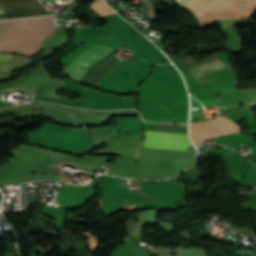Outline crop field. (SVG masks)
I'll return each mask as SVG.
<instances>
[{
  "label": "crop field",
  "mask_w": 256,
  "mask_h": 256,
  "mask_svg": "<svg viewBox=\"0 0 256 256\" xmlns=\"http://www.w3.org/2000/svg\"><path fill=\"white\" fill-rule=\"evenodd\" d=\"M56 28L53 16L0 22V52L32 56Z\"/></svg>",
  "instance_id": "1"
},
{
  "label": "crop field",
  "mask_w": 256,
  "mask_h": 256,
  "mask_svg": "<svg viewBox=\"0 0 256 256\" xmlns=\"http://www.w3.org/2000/svg\"><path fill=\"white\" fill-rule=\"evenodd\" d=\"M194 0H177L179 5L188 7ZM210 0H196L190 5L189 8L196 13L204 4ZM235 0H211L205 6H203L197 13V17L201 23L209 17L214 11L218 10L222 6L233 2ZM256 11V0H238L230 3L218 11L214 12L203 24L210 23L215 17H247L252 15Z\"/></svg>",
  "instance_id": "2"
},
{
  "label": "crop field",
  "mask_w": 256,
  "mask_h": 256,
  "mask_svg": "<svg viewBox=\"0 0 256 256\" xmlns=\"http://www.w3.org/2000/svg\"><path fill=\"white\" fill-rule=\"evenodd\" d=\"M93 143L96 146L104 143L118 133V129L107 127L102 129H89ZM142 140V130L137 133L119 135L105 142V149H99L93 153L107 155H122L135 158Z\"/></svg>",
  "instance_id": "3"
},
{
  "label": "crop field",
  "mask_w": 256,
  "mask_h": 256,
  "mask_svg": "<svg viewBox=\"0 0 256 256\" xmlns=\"http://www.w3.org/2000/svg\"><path fill=\"white\" fill-rule=\"evenodd\" d=\"M156 127H171V128H187V125L159 124ZM155 130H177L187 131V129H170V128H151ZM144 130V142L141 146L163 148V149H178L187 150V147L192 146L187 132L177 131H155Z\"/></svg>",
  "instance_id": "4"
},
{
  "label": "crop field",
  "mask_w": 256,
  "mask_h": 256,
  "mask_svg": "<svg viewBox=\"0 0 256 256\" xmlns=\"http://www.w3.org/2000/svg\"><path fill=\"white\" fill-rule=\"evenodd\" d=\"M222 116V115H219ZM217 116V117H219ZM240 126L222 116L216 119L203 120L190 125V138L196 146L214 137L240 132Z\"/></svg>",
  "instance_id": "5"
},
{
  "label": "crop field",
  "mask_w": 256,
  "mask_h": 256,
  "mask_svg": "<svg viewBox=\"0 0 256 256\" xmlns=\"http://www.w3.org/2000/svg\"><path fill=\"white\" fill-rule=\"evenodd\" d=\"M5 17L24 18L50 15L38 0H0Z\"/></svg>",
  "instance_id": "6"
},
{
  "label": "crop field",
  "mask_w": 256,
  "mask_h": 256,
  "mask_svg": "<svg viewBox=\"0 0 256 256\" xmlns=\"http://www.w3.org/2000/svg\"><path fill=\"white\" fill-rule=\"evenodd\" d=\"M91 48V47H90ZM110 49L93 46L88 51L78 56L65 70L62 72L79 82L86 70L96 63L103 56L108 54Z\"/></svg>",
  "instance_id": "7"
},
{
  "label": "crop field",
  "mask_w": 256,
  "mask_h": 256,
  "mask_svg": "<svg viewBox=\"0 0 256 256\" xmlns=\"http://www.w3.org/2000/svg\"><path fill=\"white\" fill-rule=\"evenodd\" d=\"M178 59L193 78L207 70L225 66L223 61L214 53L205 60L199 62H196L192 57L189 56L180 57Z\"/></svg>",
  "instance_id": "8"
},
{
  "label": "crop field",
  "mask_w": 256,
  "mask_h": 256,
  "mask_svg": "<svg viewBox=\"0 0 256 256\" xmlns=\"http://www.w3.org/2000/svg\"><path fill=\"white\" fill-rule=\"evenodd\" d=\"M234 76H236V74H235L232 66L229 65L222 69L202 74V75L196 77L195 80L201 84L210 86L214 83L232 78Z\"/></svg>",
  "instance_id": "9"
},
{
  "label": "crop field",
  "mask_w": 256,
  "mask_h": 256,
  "mask_svg": "<svg viewBox=\"0 0 256 256\" xmlns=\"http://www.w3.org/2000/svg\"><path fill=\"white\" fill-rule=\"evenodd\" d=\"M12 55L10 54H3V53H0V63L8 60L9 58H11Z\"/></svg>",
  "instance_id": "10"
},
{
  "label": "crop field",
  "mask_w": 256,
  "mask_h": 256,
  "mask_svg": "<svg viewBox=\"0 0 256 256\" xmlns=\"http://www.w3.org/2000/svg\"><path fill=\"white\" fill-rule=\"evenodd\" d=\"M40 1H48V2H52V1H54V0H40Z\"/></svg>",
  "instance_id": "11"
},
{
  "label": "crop field",
  "mask_w": 256,
  "mask_h": 256,
  "mask_svg": "<svg viewBox=\"0 0 256 256\" xmlns=\"http://www.w3.org/2000/svg\"><path fill=\"white\" fill-rule=\"evenodd\" d=\"M115 94V93H114Z\"/></svg>",
  "instance_id": "12"
}]
</instances>
